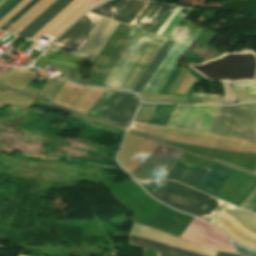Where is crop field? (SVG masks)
I'll list each match as a JSON object with an SVG mask.
<instances>
[{"label":"crop field","mask_w":256,"mask_h":256,"mask_svg":"<svg viewBox=\"0 0 256 256\" xmlns=\"http://www.w3.org/2000/svg\"><path fill=\"white\" fill-rule=\"evenodd\" d=\"M31 0H23L13 10H11L5 17L0 20V27L4 25L10 18H12L18 11H20Z\"/></svg>","instance_id":"obj_29"},{"label":"crop field","mask_w":256,"mask_h":256,"mask_svg":"<svg viewBox=\"0 0 256 256\" xmlns=\"http://www.w3.org/2000/svg\"><path fill=\"white\" fill-rule=\"evenodd\" d=\"M105 0H74L31 39L38 41L45 33L56 37L84 11Z\"/></svg>","instance_id":"obj_10"},{"label":"crop field","mask_w":256,"mask_h":256,"mask_svg":"<svg viewBox=\"0 0 256 256\" xmlns=\"http://www.w3.org/2000/svg\"><path fill=\"white\" fill-rule=\"evenodd\" d=\"M152 195L180 210L209 221L225 204L224 202L174 181H138Z\"/></svg>","instance_id":"obj_2"},{"label":"crop field","mask_w":256,"mask_h":256,"mask_svg":"<svg viewBox=\"0 0 256 256\" xmlns=\"http://www.w3.org/2000/svg\"><path fill=\"white\" fill-rule=\"evenodd\" d=\"M187 103L223 104V98L217 94L192 93Z\"/></svg>","instance_id":"obj_26"},{"label":"crop field","mask_w":256,"mask_h":256,"mask_svg":"<svg viewBox=\"0 0 256 256\" xmlns=\"http://www.w3.org/2000/svg\"><path fill=\"white\" fill-rule=\"evenodd\" d=\"M208 169L188 166L179 161L164 179H175L194 187Z\"/></svg>","instance_id":"obj_20"},{"label":"crop field","mask_w":256,"mask_h":256,"mask_svg":"<svg viewBox=\"0 0 256 256\" xmlns=\"http://www.w3.org/2000/svg\"><path fill=\"white\" fill-rule=\"evenodd\" d=\"M208 133L256 140V103L221 106Z\"/></svg>","instance_id":"obj_4"},{"label":"crop field","mask_w":256,"mask_h":256,"mask_svg":"<svg viewBox=\"0 0 256 256\" xmlns=\"http://www.w3.org/2000/svg\"><path fill=\"white\" fill-rule=\"evenodd\" d=\"M72 1L73 0H56L49 8L20 32L18 36L30 39Z\"/></svg>","instance_id":"obj_19"},{"label":"crop field","mask_w":256,"mask_h":256,"mask_svg":"<svg viewBox=\"0 0 256 256\" xmlns=\"http://www.w3.org/2000/svg\"><path fill=\"white\" fill-rule=\"evenodd\" d=\"M50 0H40L35 6H33L27 13H25L18 21H16L10 28L6 30V32L12 33L16 30L20 25H22L27 19H29L34 13H36L40 8H42L47 2ZM55 0H51L47 3L42 9H40L36 14H34L29 20H27L22 26H20L16 31L13 32L15 34L21 27L25 28L29 23H31L38 15H40L48 6H50ZM22 29V28H21ZM20 29V30H21ZM19 30V31H20ZM18 31V32H19ZM17 35V34H16Z\"/></svg>","instance_id":"obj_23"},{"label":"crop field","mask_w":256,"mask_h":256,"mask_svg":"<svg viewBox=\"0 0 256 256\" xmlns=\"http://www.w3.org/2000/svg\"><path fill=\"white\" fill-rule=\"evenodd\" d=\"M235 248L237 249L238 253L245 255V256H256V251H252L249 249H246L244 247H241L235 243H233Z\"/></svg>","instance_id":"obj_31"},{"label":"crop field","mask_w":256,"mask_h":256,"mask_svg":"<svg viewBox=\"0 0 256 256\" xmlns=\"http://www.w3.org/2000/svg\"><path fill=\"white\" fill-rule=\"evenodd\" d=\"M155 106L156 104H143L135 120L146 123ZM175 107L176 105L157 104L148 123L166 126Z\"/></svg>","instance_id":"obj_18"},{"label":"crop field","mask_w":256,"mask_h":256,"mask_svg":"<svg viewBox=\"0 0 256 256\" xmlns=\"http://www.w3.org/2000/svg\"><path fill=\"white\" fill-rule=\"evenodd\" d=\"M5 0H0V4L2 3V2H4Z\"/></svg>","instance_id":"obj_36"},{"label":"crop field","mask_w":256,"mask_h":256,"mask_svg":"<svg viewBox=\"0 0 256 256\" xmlns=\"http://www.w3.org/2000/svg\"><path fill=\"white\" fill-rule=\"evenodd\" d=\"M213 222L233 240L256 249V214L226 204Z\"/></svg>","instance_id":"obj_6"},{"label":"crop field","mask_w":256,"mask_h":256,"mask_svg":"<svg viewBox=\"0 0 256 256\" xmlns=\"http://www.w3.org/2000/svg\"><path fill=\"white\" fill-rule=\"evenodd\" d=\"M174 41L166 39L150 65L147 67L133 90L135 92H141L157 67L160 65L172 45ZM187 45L180 44L175 42L161 65L158 67L146 87L144 88L143 92H150V93H158L161 86L163 85L165 79L167 78L169 72L171 71L173 65L177 62V60L181 57L184 51L187 49Z\"/></svg>","instance_id":"obj_5"},{"label":"crop field","mask_w":256,"mask_h":256,"mask_svg":"<svg viewBox=\"0 0 256 256\" xmlns=\"http://www.w3.org/2000/svg\"><path fill=\"white\" fill-rule=\"evenodd\" d=\"M39 0H32L28 5H26L20 12H18L12 19H10L0 30L5 31L10 27L17 19H19L27 10H29L36 2Z\"/></svg>","instance_id":"obj_28"},{"label":"crop field","mask_w":256,"mask_h":256,"mask_svg":"<svg viewBox=\"0 0 256 256\" xmlns=\"http://www.w3.org/2000/svg\"><path fill=\"white\" fill-rule=\"evenodd\" d=\"M180 70L181 68L174 67L173 71L171 72L170 76L168 77L167 81L162 87L161 91L168 92L169 88L171 87Z\"/></svg>","instance_id":"obj_30"},{"label":"crop field","mask_w":256,"mask_h":256,"mask_svg":"<svg viewBox=\"0 0 256 256\" xmlns=\"http://www.w3.org/2000/svg\"><path fill=\"white\" fill-rule=\"evenodd\" d=\"M49 51H51L49 55L46 58L42 57L41 58L42 60L59 63L67 66H72V67H76L84 70H87L89 65L92 63V60L72 56L69 54H65V53H61L53 50H49Z\"/></svg>","instance_id":"obj_22"},{"label":"crop field","mask_w":256,"mask_h":256,"mask_svg":"<svg viewBox=\"0 0 256 256\" xmlns=\"http://www.w3.org/2000/svg\"><path fill=\"white\" fill-rule=\"evenodd\" d=\"M236 173L237 171L214 164L195 188L216 197Z\"/></svg>","instance_id":"obj_15"},{"label":"crop field","mask_w":256,"mask_h":256,"mask_svg":"<svg viewBox=\"0 0 256 256\" xmlns=\"http://www.w3.org/2000/svg\"><path fill=\"white\" fill-rule=\"evenodd\" d=\"M64 83L65 82L56 78H50L49 81L44 85V87L39 91L37 96L51 101Z\"/></svg>","instance_id":"obj_25"},{"label":"crop field","mask_w":256,"mask_h":256,"mask_svg":"<svg viewBox=\"0 0 256 256\" xmlns=\"http://www.w3.org/2000/svg\"><path fill=\"white\" fill-rule=\"evenodd\" d=\"M220 106L177 105L167 126L207 133Z\"/></svg>","instance_id":"obj_7"},{"label":"crop field","mask_w":256,"mask_h":256,"mask_svg":"<svg viewBox=\"0 0 256 256\" xmlns=\"http://www.w3.org/2000/svg\"><path fill=\"white\" fill-rule=\"evenodd\" d=\"M128 27L129 26L127 25L119 23V25L117 26V28L115 29V31L105 44L104 48L102 49V51L100 52V54L98 55V57L96 58V60L94 61L90 69L87 71V73L85 74L80 83L91 84V82L93 81V79L95 78V76L97 75V73L107 60V58L110 56V54L112 53V51L114 50V48L116 47L124 33L126 32Z\"/></svg>","instance_id":"obj_17"},{"label":"crop field","mask_w":256,"mask_h":256,"mask_svg":"<svg viewBox=\"0 0 256 256\" xmlns=\"http://www.w3.org/2000/svg\"><path fill=\"white\" fill-rule=\"evenodd\" d=\"M122 93H123V91H121L118 94V96L112 101V103L107 107V109L101 114L99 119H102V120H105V121H108V122H111V123H114V124H117V125H120L123 127H127L125 125H127L130 122L133 114L135 113V111L137 109L139 101H138L137 97H133V96H135L134 94L129 93V94L133 95V96H131L127 93H123V94ZM120 95H121V97H120ZM115 101H116V103H115ZM110 107H111V109H110ZM105 113H106V115H105ZM103 116H104V118H107V119H110V120H113V121H116V122H119V123H122L125 125L104 119V118H102Z\"/></svg>","instance_id":"obj_12"},{"label":"crop field","mask_w":256,"mask_h":256,"mask_svg":"<svg viewBox=\"0 0 256 256\" xmlns=\"http://www.w3.org/2000/svg\"><path fill=\"white\" fill-rule=\"evenodd\" d=\"M132 232H136V233H139V234H142V235H146V236L153 237V238L163 240V241H166V242H170V243H173V244H176V245L187 247V248H190V249H193V250L204 252V253H207V254H210V255H214V256L216 255V251H213L211 249L205 248L203 246L197 245V244L189 242V241L179 239V238L174 237V236H172L170 234H167L165 232L155 230V229H152V228L140 225V224L135 223ZM136 233H132V234H136ZM139 234H136V235H139ZM142 235H139V236H142ZM146 236H142V237H146ZM149 237H146V238H149ZM153 238H149V239L156 240V239H153ZM159 240H156V241H159ZM163 241H159V242L166 243V242H163ZM170 243H166V244L173 245V244H170ZM176 245H173V246H176ZM180 246H176V247L183 248V247H180ZM187 248H183V249L193 251V250H190V249H187ZM197 251H193V252L203 254V255H206V256H210V255L200 253V252H197Z\"/></svg>","instance_id":"obj_16"},{"label":"crop field","mask_w":256,"mask_h":256,"mask_svg":"<svg viewBox=\"0 0 256 256\" xmlns=\"http://www.w3.org/2000/svg\"><path fill=\"white\" fill-rule=\"evenodd\" d=\"M253 212H256V206H255V208L252 210Z\"/></svg>","instance_id":"obj_35"},{"label":"crop field","mask_w":256,"mask_h":256,"mask_svg":"<svg viewBox=\"0 0 256 256\" xmlns=\"http://www.w3.org/2000/svg\"><path fill=\"white\" fill-rule=\"evenodd\" d=\"M170 8L169 5L160 4L156 2L149 1L136 20L133 22L132 26L147 30L152 32L167 10ZM176 7L171 6L156 28L153 30V33L157 34L172 12Z\"/></svg>","instance_id":"obj_13"},{"label":"crop field","mask_w":256,"mask_h":256,"mask_svg":"<svg viewBox=\"0 0 256 256\" xmlns=\"http://www.w3.org/2000/svg\"><path fill=\"white\" fill-rule=\"evenodd\" d=\"M103 17L88 13L76 22L54 43L72 48L80 41ZM118 25V22L104 18L73 48L99 54L104 44Z\"/></svg>","instance_id":"obj_3"},{"label":"crop field","mask_w":256,"mask_h":256,"mask_svg":"<svg viewBox=\"0 0 256 256\" xmlns=\"http://www.w3.org/2000/svg\"><path fill=\"white\" fill-rule=\"evenodd\" d=\"M13 0H7L0 6V12L7 7Z\"/></svg>","instance_id":"obj_33"},{"label":"crop field","mask_w":256,"mask_h":256,"mask_svg":"<svg viewBox=\"0 0 256 256\" xmlns=\"http://www.w3.org/2000/svg\"><path fill=\"white\" fill-rule=\"evenodd\" d=\"M180 238L216 251L236 253L231 242L217 228L196 218L193 219Z\"/></svg>","instance_id":"obj_9"},{"label":"crop field","mask_w":256,"mask_h":256,"mask_svg":"<svg viewBox=\"0 0 256 256\" xmlns=\"http://www.w3.org/2000/svg\"><path fill=\"white\" fill-rule=\"evenodd\" d=\"M217 256H229V255H226V254H223V253L219 252Z\"/></svg>","instance_id":"obj_34"},{"label":"crop field","mask_w":256,"mask_h":256,"mask_svg":"<svg viewBox=\"0 0 256 256\" xmlns=\"http://www.w3.org/2000/svg\"><path fill=\"white\" fill-rule=\"evenodd\" d=\"M256 82V81H255ZM253 81L232 84L240 102L256 100V83Z\"/></svg>","instance_id":"obj_24"},{"label":"crop field","mask_w":256,"mask_h":256,"mask_svg":"<svg viewBox=\"0 0 256 256\" xmlns=\"http://www.w3.org/2000/svg\"><path fill=\"white\" fill-rule=\"evenodd\" d=\"M182 154L159 144L132 174L137 179H161Z\"/></svg>","instance_id":"obj_8"},{"label":"crop field","mask_w":256,"mask_h":256,"mask_svg":"<svg viewBox=\"0 0 256 256\" xmlns=\"http://www.w3.org/2000/svg\"><path fill=\"white\" fill-rule=\"evenodd\" d=\"M131 27L127 30L110 58L94 80L92 84L118 87L130 89L134 87L148 64L151 62L165 38L153 35V36L141 33L139 31L131 29V32L147 36L143 37L129 32Z\"/></svg>","instance_id":"obj_1"},{"label":"crop field","mask_w":256,"mask_h":256,"mask_svg":"<svg viewBox=\"0 0 256 256\" xmlns=\"http://www.w3.org/2000/svg\"><path fill=\"white\" fill-rule=\"evenodd\" d=\"M49 49L69 53L72 55H76V56H80V57H84V58H88V59H92V60H94V58L96 56L93 54H89V53H85V52H81V51H77V50H72V49H68V48H64V47H60V46H56V45H51L49 47Z\"/></svg>","instance_id":"obj_27"},{"label":"crop field","mask_w":256,"mask_h":256,"mask_svg":"<svg viewBox=\"0 0 256 256\" xmlns=\"http://www.w3.org/2000/svg\"><path fill=\"white\" fill-rule=\"evenodd\" d=\"M20 1L22 0H15L12 4H10L3 12L0 13V19L5 16L11 9H13Z\"/></svg>","instance_id":"obj_32"},{"label":"crop field","mask_w":256,"mask_h":256,"mask_svg":"<svg viewBox=\"0 0 256 256\" xmlns=\"http://www.w3.org/2000/svg\"><path fill=\"white\" fill-rule=\"evenodd\" d=\"M120 0H110L92 10L97 14L107 17ZM148 1L121 0L108 18L131 25Z\"/></svg>","instance_id":"obj_11"},{"label":"crop field","mask_w":256,"mask_h":256,"mask_svg":"<svg viewBox=\"0 0 256 256\" xmlns=\"http://www.w3.org/2000/svg\"><path fill=\"white\" fill-rule=\"evenodd\" d=\"M182 10L183 7L180 8L161 36L191 45L203 28L186 20L187 14L181 13Z\"/></svg>","instance_id":"obj_14"},{"label":"crop field","mask_w":256,"mask_h":256,"mask_svg":"<svg viewBox=\"0 0 256 256\" xmlns=\"http://www.w3.org/2000/svg\"><path fill=\"white\" fill-rule=\"evenodd\" d=\"M131 243L141 245V246H145V247L152 248V249H156V250L158 248H161V249L173 251V252H176V253H180V254H183V255H186V256H203V255H199V254H196V253H193V252H189V251H186V250H183V249L172 247V246H169V245H166V244H162V243L152 241V240L142 238V237L132 235V234H131ZM161 249L158 250L159 256H183V255H179V254L169 252V251H165V250H161Z\"/></svg>","instance_id":"obj_21"}]
</instances>
